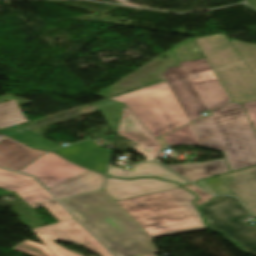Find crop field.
<instances>
[{"instance_id": "obj_22", "label": "crop field", "mask_w": 256, "mask_h": 256, "mask_svg": "<svg viewBox=\"0 0 256 256\" xmlns=\"http://www.w3.org/2000/svg\"><path fill=\"white\" fill-rule=\"evenodd\" d=\"M230 42L237 49V51L243 57L245 63L248 65L250 70L256 76V45L245 44L235 40H231Z\"/></svg>"}, {"instance_id": "obj_1", "label": "crop field", "mask_w": 256, "mask_h": 256, "mask_svg": "<svg viewBox=\"0 0 256 256\" xmlns=\"http://www.w3.org/2000/svg\"><path fill=\"white\" fill-rule=\"evenodd\" d=\"M61 202L117 256L157 252L153 238L104 190Z\"/></svg>"}, {"instance_id": "obj_12", "label": "crop field", "mask_w": 256, "mask_h": 256, "mask_svg": "<svg viewBox=\"0 0 256 256\" xmlns=\"http://www.w3.org/2000/svg\"><path fill=\"white\" fill-rule=\"evenodd\" d=\"M55 151L81 165L104 174L110 159V152L89 140Z\"/></svg>"}, {"instance_id": "obj_19", "label": "crop field", "mask_w": 256, "mask_h": 256, "mask_svg": "<svg viewBox=\"0 0 256 256\" xmlns=\"http://www.w3.org/2000/svg\"><path fill=\"white\" fill-rule=\"evenodd\" d=\"M24 122L28 121L14 100L0 104V129Z\"/></svg>"}, {"instance_id": "obj_26", "label": "crop field", "mask_w": 256, "mask_h": 256, "mask_svg": "<svg viewBox=\"0 0 256 256\" xmlns=\"http://www.w3.org/2000/svg\"><path fill=\"white\" fill-rule=\"evenodd\" d=\"M205 181L219 194H234L217 176L205 179Z\"/></svg>"}, {"instance_id": "obj_8", "label": "crop field", "mask_w": 256, "mask_h": 256, "mask_svg": "<svg viewBox=\"0 0 256 256\" xmlns=\"http://www.w3.org/2000/svg\"><path fill=\"white\" fill-rule=\"evenodd\" d=\"M38 238L55 254V256H82L70 252L55 244L52 240L79 243L101 256H113L75 219L33 229Z\"/></svg>"}, {"instance_id": "obj_2", "label": "crop field", "mask_w": 256, "mask_h": 256, "mask_svg": "<svg viewBox=\"0 0 256 256\" xmlns=\"http://www.w3.org/2000/svg\"><path fill=\"white\" fill-rule=\"evenodd\" d=\"M195 198L179 188L117 202L156 238L204 229V223L191 203Z\"/></svg>"}, {"instance_id": "obj_18", "label": "crop field", "mask_w": 256, "mask_h": 256, "mask_svg": "<svg viewBox=\"0 0 256 256\" xmlns=\"http://www.w3.org/2000/svg\"><path fill=\"white\" fill-rule=\"evenodd\" d=\"M0 133L7 134L23 143H26L28 145H31L35 148L39 149H46V150H51L55 149L58 147H61L57 144H54L52 142H49L45 139H43L42 136L20 126H13L10 128L2 129Z\"/></svg>"}, {"instance_id": "obj_9", "label": "crop field", "mask_w": 256, "mask_h": 256, "mask_svg": "<svg viewBox=\"0 0 256 256\" xmlns=\"http://www.w3.org/2000/svg\"><path fill=\"white\" fill-rule=\"evenodd\" d=\"M0 187L15 191L34 208L44 207L59 222L73 219L33 178L0 169Z\"/></svg>"}, {"instance_id": "obj_4", "label": "crop field", "mask_w": 256, "mask_h": 256, "mask_svg": "<svg viewBox=\"0 0 256 256\" xmlns=\"http://www.w3.org/2000/svg\"><path fill=\"white\" fill-rule=\"evenodd\" d=\"M179 64L163 74L190 121L231 101L206 59Z\"/></svg>"}, {"instance_id": "obj_31", "label": "crop field", "mask_w": 256, "mask_h": 256, "mask_svg": "<svg viewBox=\"0 0 256 256\" xmlns=\"http://www.w3.org/2000/svg\"><path fill=\"white\" fill-rule=\"evenodd\" d=\"M130 115H133V113L126 106H124V110H123L121 119L125 118L127 116H130Z\"/></svg>"}, {"instance_id": "obj_25", "label": "crop field", "mask_w": 256, "mask_h": 256, "mask_svg": "<svg viewBox=\"0 0 256 256\" xmlns=\"http://www.w3.org/2000/svg\"><path fill=\"white\" fill-rule=\"evenodd\" d=\"M128 131H144L148 137L152 136L135 115L122 119L120 122L118 133L123 134Z\"/></svg>"}, {"instance_id": "obj_16", "label": "crop field", "mask_w": 256, "mask_h": 256, "mask_svg": "<svg viewBox=\"0 0 256 256\" xmlns=\"http://www.w3.org/2000/svg\"><path fill=\"white\" fill-rule=\"evenodd\" d=\"M167 167L179 173L192 183L201 178L230 171L224 159L202 163L174 164L168 165Z\"/></svg>"}, {"instance_id": "obj_17", "label": "crop field", "mask_w": 256, "mask_h": 256, "mask_svg": "<svg viewBox=\"0 0 256 256\" xmlns=\"http://www.w3.org/2000/svg\"><path fill=\"white\" fill-rule=\"evenodd\" d=\"M108 175L125 178H135L138 176H156L166 180L176 181L180 184H189L157 162H146L138 164L134 166L131 171L111 167L109 169Z\"/></svg>"}, {"instance_id": "obj_6", "label": "crop field", "mask_w": 256, "mask_h": 256, "mask_svg": "<svg viewBox=\"0 0 256 256\" xmlns=\"http://www.w3.org/2000/svg\"><path fill=\"white\" fill-rule=\"evenodd\" d=\"M198 46L231 100H256V78L224 34L197 39Z\"/></svg>"}, {"instance_id": "obj_30", "label": "crop field", "mask_w": 256, "mask_h": 256, "mask_svg": "<svg viewBox=\"0 0 256 256\" xmlns=\"http://www.w3.org/2000/svg\"><path fill=\"white\" fill-rule=\"evenodd\" d=\"M195 184L200 186V187H202V188H204V189H206L210 193L217 195V193L204 180H201V181H199V182H197Z\"/></svg>"}, {"instance_id": "obj_5", "label": "crop field", "mask_w": 256, "mask_h": 256, "mask_svg": "<svg viewBox=\"0 0 256 256\" xmlns=\"http://www.w3.org/2000/svg\"><path fill=\"white\" fill-rule=\"evenodd\" d=\"M110 99L124 102L155 138L189 123L167 81Z\"/></svg>"}, {"instance_id": "obj_13", "label": "crop field", "mask_w": 256, "mask_h": 256, "mask_svg": "<svg viewBox=\"0 0 256 256\" xmlns=\"http://www.w3.org/2000/svg\"><path fill=\"white\" fill-rule=\"evenodd\" d=\"M218 177L256 216V166Z\"/></svg>"}, {"instance_id": "obj_23", "label": "crop field", "mask_w": 256, "mask_h": 256, "mask_svg": "<svg viewBox=\"0 0 256 256\" xmlns=\"http://www.w3.org/2000/svg\"><path fill=\"white\" fill-rule=\"evenodd\" d=\"M122 136L133 140L138 145L140 144L143 145L150 151V153L155 158L162 148V146L158 143V141L154 137L148 138L144 132H128L126 134H123Z\"/></svg>"}, {"instance_id": "obj_11", "label": "crop field", "mask_w": 256, "mask_h": 256, "mask_svg": "<svg viewBox=\"0 0 256 256\" xmlns=\"http://www.w3.org/2000/svg\"><path fill=\"white\" fill-rule=\"evenodd\" d=\"M175 183L160 179L125 180L107 177L105 191L115 200L179 188Z\"/></svg>"}, {"instance_id": "obj_7", "label": "crop field", "mask_w": 256, "mask_h": 256, "mask_svg": "<svg viewBox=\"0 0 256 256\" xmlns=\"http://www.w3.org/2000/svg\"><path fill=\"white\" fill-rule=\"evenodd\" d=\"M200 209L209 227L238 240L246 252L256 256V226L251 227L240 221L251 214L235 197H219L200 206Z\"/></svg>"}, {"instance_id": "obj_32", "label": "crop field", "mask_w": 256, "mask_h": 256, "mask_svg": "<svg viewBox=\"0 0 256 256\" xmlns=\"http://www.w3.org/2000/svg\"><path fill=\"white\" fill-rule=\"evenodd\" d=\"M148 256H156L155 254H152V255H148Z\"/></svg>"}, {"instance_id": "obj_20", "label": "crop field", "mask_w": 256, "mask_h": 256, "mask_svg": "<svg viewBox=\"0 0 256 256\" xmlns=\"http://www.w3.org/2000/svg\"><path fill=\"white\" fill-rule=\"evenodd\" d=\"M164 139L168 146H201L191 124L165 136Z\"/></svg>"}, {"instance_id": "obj_27", "label": "crop field", "mask_w": 256, "mask_h": 256, "mask_svg": "<svg viewBox=\"0 0 256 256\" xmlns=\"http://www.w3.org/2000/svg\"><path fill=\"white\" fill-rule=\"evenodd\" d=\"M255 130H256V101L243 104Z\"/></svg>"}, {"instance_id": "obj_15", "label": "crop field", "mask_w": 256, "mask_h": 256, "mask_svg": "<svg viewBox=\"0 0 256 256\" xmlns=\"http://www.w3.org/2000/svg\"><path fill=\"white\" fill-rule=\"evenodd\" d=\"M104 176L88 170L49 191L58 199L87 193L102 188Z\"/></svg>"}, {"instance_id": "obj_28", "label": "crop field", "mask_w": 256, "mask_h": 256, "mask_svg": "<svg viewBox=\"0 0 256 256\" xmlns=\"http://www.w3.org/2000/svg\"><path fill=\"white\" fill-rule=\"evenodd\" d=\"M185 188L194 191V192L200 197V199L195 202V204H197V205L213 197V196H211V195L205 193L204 191L200 190L199 188H197V187H195V186H193V185L185 186ZM210 200H211V199H210ZM208 201H209V200H208ZM206 202H207V201H206ZM204 203H205V202H204ZM202 204H203V203H202ZM200 205H201V204H200Z\"/></svg>"}, {"instance_id": "obj_14", "label": "crop field", "mask_w": 256, "mask_h": 256, "mask_svg": "<svg viewBox=\"0 0 256 256\" xmlns=\"http://www.w3.org/2000/svg\"><path fill=\"white\" fill-rule=\"evenodd\" d=\"M44 153L0 135V166L18 171Z\"/></svg>"}, {"instance_id": "obj_10", "label": "crop field", "mask_w": 256, "mask_h": 256, "mask_svg": "<svg viewBox=\"0 0 256 256\" xmlns=\"http://www.w3.org/2000/svg\"><path fill=\"white\" fill-rule=\"evenodd\" d=\"M88 169L74 165L49 152L21 172L35 176L46 188L56 186Z\"/></svg>"}, {"instance_id": "obj_21", "label": "crop field", "mask_w": 256, "mask_h": 256, "mask_svg": "<svg viewBox=\"0 0 256 256\" xmlns=\"http://www.w3.org/2000/svg\"><path fill=\"white\" fill-rule=\"evenodd\" d=\"M96 104L116 133L124 103L106 99Z\"/></svg>"}, {"instance_id": "obj_29", "label": "crop field", "mask_w": 256, "mask_h": 256, "mask_svg": "<svg viewBox=\"0 0 256 256\" xmlns=\"http://www.w3.org/2000/svg\"><path fill=\"white\" fill-rule=\"evenodd\" d=\"M132 149L143 155L147 160H155V158L149 153V151L141 145Z\"/></svg>"}, {"instance_id": "obj_24", "label": "crop field", "mask_w": 256, "mask_h": 256, "mask_svg": "<svg viewBox=\"0 0 256 256\" xmlns=\"http://www.w3.org/2000/svg\"><path fill=\"white\" fill-rule=\"evenodd\" d=\"M12 250H15L30 256H54L53 253L45 245H40L28 240L19 244Z\"/></svg>"}, {"instance_id": "obj_3", "label": "crop field", "mask_w": 256, "mask_h": 256, "mask_svg": "<svg viewBox=\"0 0 256 256\" xmlns=\"http://www.w3.org/2000/svg\"><path fill=\"white\" fill-rule=\"evenodd\" d=\"M193 127L203 147L223 151L232 171L256 165V135L240 104L230 102Z\"/></svg>"}]
</instances>
